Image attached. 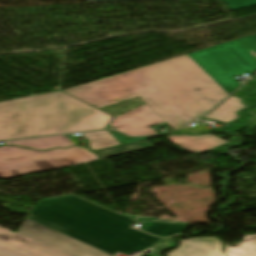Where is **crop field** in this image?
<instances>
[{"instance_id":"8a807250","label":"crop field","mask_w":256,"mask_h":256,"mask_svg":"<svg viewBox=\"0 0 256 256\" xmlns=\"http://www.w3.org/2000/svg\"><path fill=\"white\" fill-rule=\"evenodd\" d=\"M136 222L141 230L163 237L184 232L188 224L117 214L70 195L37 202L17 232L72 256L128 255L146 248L153 250L147 256H158L159 249L175 245L130 228Z\"/></svg>"},{"instance_id":"ac0d7876","label":"crop field","mask_w":256,"mask_h":256,"mask_svg":"<svg viewBox=\"0 0 256 256\" xmlns=\"http://www.w3.org/2000/svg\"><path fill=\"white\" fill-rule=\"evenodd\" d=\"M63 92L96 108L139 97L173 130L229 96L187 55Z\"/></svg>"},{"instance_id":"34b2d1b8","label":"crop field","mask_w":256,"mask_h":256,"mask_svg":"<svg viewBox=\"0 0 256 256\" xmlns=\"http://www.w3.org/2000/svg\"><path fill=\"white\" fill-rule=\"evenodd\" d=\"M113 116L56 91L0 103V141L105 128Z\"/></svg>"},{"instance_id":"412701ff","label":"crop field","mask_w":256,"mask_h":256,"mask_svg":"<svg viewBox=\"0 0 256 256\" xmlns=\"http://www.w3.org/2000/svg\"><path fill=\"white\" fill-rule=\"evenodd\" d=\"M229 95L241 84L232 77L256 69V35L188 54Z\"/></svg>"},{"instance_id":"f4fd0767","label":"crop field","mask_w":256,"mask_h":256,"mask_svg":"<svg viewBox=\"0 0 256 256\" xmlns=\"http://www.w3.org/2000/svg\"><path fill=\"white\" fill-rule=\"evenodd\" d=\"M79 147L37 152L16 147L0 148V178L9 179L51 169L94 161Z\"/></svg>"},{"instance_id":"dd49c442","label":"crop field","mask_w":256,"mask_h":256,"mask_svg":"<svg viewBox=\"0 0 256 256\" xmlns=\"http://www.w3.org/2000/svg\"><path fill=\"white\" fill-rule=\"evenodd\" d=\"M164 123L146 105L112 119L110 125L119 131L132 136L155 134L149 127Z\"/></svg>"},{"instance_id":"e52e79f7","label":"crop field","mask_w":256,"mask_h":256,"mask_svg":"<svg viewBox=\"0 0 256 256\" xmlns=\"http://www.w3.org/2000/svg\"><path fill=\"white\" fill-rule=\"evenodd\" d=\"M0 256H65L0 228Z\"/></svg>"},{"instance_id":"d8731c3e","label":"crop field","mask_w":256,"mask_h":256,"mask_svg":"<svg viewBox=\"0 0 256 256\" xmlns=\"http://www.w3.org/2000/svg\"><path fill=\"white\" fill-rule=\"evenodd\" d=\"M181 245L168 256H225L221 243L215 237H203L180 241Z\"/></svg>"},{"instance_id":"5a996713","label":"crop field","mask_w":256,"mask_h":256,"mask_svg":"<svg viewBox=\"0 0 256 256\" xmlns=\"http://www.w3.org/2000/svg\"><path fill=\"white\" fill-rule=\"evenodd\" d=\"M165 139L177 144L178 146L194 154L205 152L227 143L211 134L202 136L175 135L165 137Z\"/></svg>"},{"instance_id":"3316defc","label":"crop field","mask_w":256,"mask_h":256,"mask_svg":"<svg viewBox=\"0 0 256 256\" xmlns=\"http://www.w3.org/2000/svg\"><path fill=\"white\" fill-rule=\"evenodd\" d=\"M245 107L246 105L242 104L239 98L231 96L225 100L217 109L203 118L214 119L227 123L236 118V111Z\"/></svg>"},{"instance_id":"28ad6ade","label":"crop field","mask_w":256,"mask_h":256,"mask_svg":"<svg viewBox=\"0 0 256 256\" xmlns=\"http://www.w3.org/2000/svg\"><path fill=\"white\" fill-rule=\"evenodd\" d=\"M7 144H16L24 147H30L34 149H49L57 146H69L73 145L68 138L64 135L55 136V137H47V138H35V139H24V140H15L9 141Z\"/></svg>"},{"instance_id":"d1516ede","label":"crop field","mask_w":256,"mask_h":256,"mask_svg":"<svg viewBox=\"0 0 256 256\" xmlns=\"http://www.w3.org/2000/svg\"><path fill=\"white\" fill-rule=\"evenodd\" d=\"M228 256H256V235L243 237L239 247L225 248Z\"/></svg>"},{"instance_id":"22f410ed","label":"crop field","mask_w":256,"mask_h":256,"mask_svg":"<svg viewBox=\"0 0 256 256\" xmlns=\"http://www.w3.org/2000/svg\"><path fill=\"white\" fill-rule=\"evenodd\" d=\"M83 135L90 141L89 146L93 150L120 144L107 131L85 133Z\"/></svg>"},{"instance_id":"cbeb9de0","label":"crop field","mask_w":256,"mask_h":256,"mask_svg":"<svg viewBox=\"0 0 256 256\" xmlns=\"http://www.w3.org/2000/svg\"><path fill=\"white\" fill-rule=\"evenodd\" d=\"M152 147L153 146L148 141H145V142L125 145V146H120L112 149L95 152V154L99 159H102L106 157L116 156V155L134 152L138 150L148 149Z\"/></svg>"},{"instance_id":"5142ce71","label":"crop field","mask_w":256,"mask_h":256,"mask_svg":"<svg viewBox=\"0 0 256 256\" xmlns=\"http://www.w3.org/2000/svg\"><path fill=\"white\" fill-rule=\"evenodd\" d=\"M232 10H239L256 5V0H223Z\"/></svg>"},{"instance_id":"d9b57169","label":"crop field","mask_w":256,"mask_h":256,"mask_svg":"<svg viewBox=\"0 0 256 256\" xmlns=\"http://www.w3.org/2000/svg\"><path fill=\"white\" fill-rule=\"evenodd\" d=\"M178 132H181V133H186V134H196V133H202V132H207L209 131V129H206L200 125H197L193 128H190V127H185L183 129H180V130H177Z\"/></svg>"},{"instance_id":"733c2abd","label":"crop field","mask_w":256,"mask_h":256,"mask_svg":"<svg viewBox=\"0 0 256 256\" xmlns=\"http://www.w3.org/2000/svg\"><path fill=\"white\" fill-rule=\"evenodd\" d=\"M254 83H256V82L248 81V82H246V83L244 84V86H243L241 89L250 91V89H251V87H252V84H254ZM241 89L238 90L235 94H233V96H236V97H239V98H242V99L248 98L247 95H248L249 93L243 92V91H241Z\"/></svg>"},{"instance_id":"4a817a6b","label":"crop field","mask_w":256,"mask_h":256,"mask_svg":"<svg viewBox=\"0 0 256 256\" xmlns=\"http://www.w3.org/2000/svg\"><path fill=\"white\" fill-rule=\"evenodd\" d=\"M87 2H99V1H124V0H86Z\"/></svg>"},{"instance_id":"bc2a9ffb","label":"crop field","mask_w":256,"mask_h":256,"mask_svg":"<svg viewBox=\"0 0 256 256\" xmlns=\"http://www.w3.org/2000/svg\"><path fill=\"white\" fill-rule=\"evenodd\" d=\"M250 123V125L248 126L249 129L253 128L254 127V122H252L251 120L248 121Z\"/></svg>"},{"instance_id":"214f88e0","label":"crop field","mask_w":256,"mask_h":256,"mask_svg":"<svg viewBox=\"0 0 256 256\" xmlns=\"http://www.w3.org/2000/svg\"><path fill=\"white\" fill-rule=\"evenodd\" d=\"M251 113H253L256 116V112H251ZM252 121L255 122V127H256V117L254 119H252Z\"/></svg>"}]
</instances>
